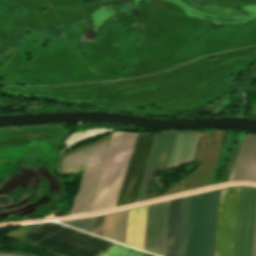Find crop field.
I'll return each instance as SVG.
<instances>
[{
    "label": "crop field",
    "instance_id": "1",
    "mask_svg": "<svg viewBox=\"0 0 256 256\" xmlns=\"http://www.w3.org/2000/svg\"><path fill=\"white\" fill-rule=\"evenodd\" d=\"M240 190L241 186L221 189L215 256H234ZM255 226L256 188L242 186L235 256H253Z\"/></svg>",
    "mask_w": 256,
    "mask_h": 256
},
{
    "label": "crop field",
    "instance_id": "2",
    "mask_svg": "<svg viewBox=\"0 0 256 256\" xmlns=\"http://www.w3.org/2000/svg\"><path fill=\"white\" fill-rule=\"evenodd\" d=\"M26 240L66 256H98L113 244L57 223L37 224ZM100 256H152V254L114 243Z\"/></svg>",
    "mask_w": 256,
    "mask_h": 256
},
{
    "label": "crop field",
    "instance_id": "3",
    "mask_svg": "<svg viewBox=\"0 0 256 256\" xmlns=\"http://www.w3.org/2000/svg\"><path fill=\"white\" fill-rule=\"evenodd\" d=\"M136 135L113 133L90 211L115 205Z\"/></svg>",
    "mask_w": 256,
    "mask_h": 256
},
{
    "label": "crop field",
    "instance_id": "4",
    "mask_svg": "<svg viewBox=\"0 0 256 256\" xmlns=\"http://www.w3.org/2000/svg\"><path fill=\"white\" fill-rule=\"evenodd\" d=\"M219 194L192 196L186 256H214Z\"/></svg>",
    "mask_w": 256,
    "mask_h": 256
},
{
    "label": "crop field",
    "instance_id": "5",
    "mask_svg": "<svg viewBox=\"0 0 256 256\" xmlns=\"http://www.w3.org/2000/svg\"><path fill=\"white\" fill-rule=\"evenodd\" d=\"M199 133L165 132L156 135L137 200L145 199L156 171L169 169L192 160Z\"/></svg>",
    "mask_w": 256,
    "mask_h": 256
},
{
    "label": "crop field",
    "instance_id": "6",
    "mask_svg": "<svg viewBox=\"0 0 256 256\" xmlns=\"http://www.w3.org/2000/svg\"><path fill=\"white\" fill-rule=\"evenodd\" d=\"M108 140L64 158L62 164L64 173L71 174L84 170L71 214L88 212Z\"/></svg>",
    "mask_w": 256,
    "mask_h": 256
},
{
    "label": "crop field",
    "instance_id": "7",
    "mask_svg": "<svg viewBox=\"0 0 256 256\" xmlns=\"http://www.w3.org/2000/svg\"><path fill=\"white\" fill-rule=\"evenodd\" d=\"M156 134H138L117 205L134 202Z\"/></svg>",
    "mask_w": 256,
    "mask_h": 256
},
{
    "label": "crop field",
    "instance_id": "8",
    "mask_svg": "<svg viewBox=\"0 0 256 256\" xmlns=\"http://www.w3.org/2000/svg\"><path fill=\"white\" fill-rule=\"evenodd\" d=\"M169 201L148 206L143 250L163 256Z\"/></svg>",
    "mask_w": 256,
    "mask_h": 256
},
{
    "label": "crop field",
    "instance_id": "9",
    "mask_svg": "<svg viewBox=\"0 0 256 256\" xmlns=\"http://www.w3.org/2000/svg\"><path fill=\"white\" fill-rule=\"evenodd\" d=\"M147 206L129 209L125 244L141 249L143 246Z\"/></svg>",
    "mask_w": 256,
    "mask_h": 256
},
{
    "label": "crop field",
    "instance_id": "10",
    "mask_svg": "<svg viewBox=\"0 0 256 256\" xmlns=\"http://www.w3.org/2000/svg\"><path fill=\"white\" fill-rule=\"evenodd\" d=\"M182 198L170 201L164 256H177Z\"/></svg>",
    "mask_w": 256,
    "mask_h": 256
},
{
    "label": "crop field",
    "instance_id": "11",
    "mask_svg": "<svg viewBox=\"0 0 256 256\" xmlns=\"http://www.w3.org/2000/svg\"><path fill=\"white\" fill-rule=\"evenodd\" d=\"M128 210L106 215L103 236L124 244Z\"/></svg>",
    "mask_w": 256,
    "mask_h": 256
},
{
    "label": "crop field",
    "instance_id": "12",
    "mask_svg": "<svg viewBox=\"0 0 256 256\" xmlns=\"http://www.w3.org/2000/svg\"><path fill=\"white\" fill-rule=\"evenodd\" d=\"M256 148V135L248 133L228 180H240Z\"/></svg>",
    "mask_w": 256,
    "mask_h": 256
},
{
    "label": "crop field",
    "instance_id": "13",
    "mask_svg": "<svg viewBox=\"0 0 256 256\" xmlns=\"http://www.w3.org/2000/svg\"><path fill=\"white\" fill-rule=\"evenodd\" d=\"M191 196L183 198L178 256H185Z\"/></svg>",
    "mask_w": 256,
    "mask_h": 256
},
{
    "label": "crop field",
    "instance_id": "14",
    "mask_svg": "<svg viewBox=\"0 0 256 256\" xmlns=\"http://www.w3.org/2000/svg\"><path fill=\"white\" fill-rule=\"evenodd\" d=\"M95 221L96 217L94 218H88V219H81V220H74V221H67V222H61L67 225H70L72 227L90 232L94 234L95 229Z\"/></svg>",
    "mask_w": 256,
    "mask_h": 256
},
{
    "label": "crop field",
    "instance_id": "15",
    "mask_svg": "<svg viewBox=\"0 0 256 256\" xmlns=\"http://www.w3.org/2000/svg\"><path fill=\"white\" fill-rule=\"evenodd\" d=\"M243 179L256 180V151L241 180Z\"/></svg>",
    "mask_w": 256,
    "mask_h": 256
},
{
    "label": "crop field",
    "instance_id": "16",
    "mask_svg": "<svg viewBox=\"0 0 256 256\" xmlns=\"http://www.w3.org/2000/svg\"><path fill=\"white\" fill-rule=\"evenodd\" d=\"M105 215L97 217L95 234L101 235L103 233Z\"/></svg>",
    "mask_w": 256,
    "mask_h": 256
},
{
    "label": "crop field",
    "instance_id": "17",
    "mask_svg": "<svg viewBox=\"0 0 256 256\" xmlns=\"http://www.w3.org/2000/svg\"><path fill=\"white\" fill-rule=\"evenodd\" d=\"M0 256H25V255H14V254H0Z\"/></svg>",
    "mask_w": 256,
    "mask_h": 256
}]
</instances>
